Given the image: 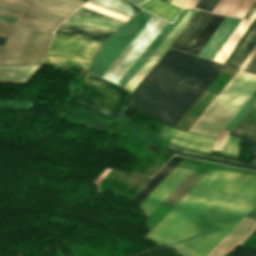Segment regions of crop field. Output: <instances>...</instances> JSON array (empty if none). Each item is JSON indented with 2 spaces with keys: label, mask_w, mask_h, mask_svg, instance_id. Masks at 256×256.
I'll return each instance as SVG.
<instances>
[{
  "label": "crop field",
  "mask_w": 256,
  "mask_h": 256,
  "mask_svg": "<svg viewBox=\"0 0 256 256\" xmlns=\"http://www.w3.org/2000/svg\"><path fill=\"white\" fill-rule=\"evenodd\" d=\"M223 67L170 48L137 87L130 105L174 127Z\"/></svg>",
  "instance_id": "obj_1"
},
{
  "label": "crop field",
  "mask_w": 256,
  "mask_h": 256,
  "mask_svg": "<svg viewBox=\"0 0 256 256\" xmlns=\"http://www.w3.org/2000/svg\"><path fill=\"white\" fill-rule=\"evenodd\" d=\"M255 205L256 172L243 170L170 246L206 256Z\"/></svg>",
  "instance_id": "obj_2"
},
{
  "label": "crop field",
  "mask_w": 256,
  "mask_h": 256,
  "mask_svg": "<svg viewBox=\"0 0 256 256\" xmlns=\"http://www.w3.org/2000/svg\"><path fill=\"white\" fill-rule=\"evenodd\" d=\"M241 171L216 164L146 238L169 246Z\"/></svg>",
  "instance_id": "obj_3"
},
{
  "label": "crop field",
  "mask_w": 256,
  "mask_h": 256,
  "mask_svg": "<svg viewBox=\"0 0 256 256\" xmlns=\"http://www.w3.org/2000/svg\"><path fill=\"white\" fill-rule=\"evenodd\" d=\"M255 90L256 76L239 70L189 130L217 137Z\"/></svg>",
  "instance_id": "obj_4"
},
{
  "label": "crop field",
  "mask_w": 256,
  "mask_h": 256,
  "mask_svg": "<svg viewBox=\"0 0 256 256\" xmlns=\"http://www.w3.org/2000/svg\"><path fill=\"white\" fill-rule=\"evenodd\" d=\"M151 16L152 14L141 11L109 36L98 48L87 74L101 77Z\"/></svg>",
  "instance_id": "obj_5"
},
{
  "label": "crop field",
  "mask_w": 256,
  "mask_h": 256,
  "mask_svg": "<svg viewBox=\"0 0 256 256\" xmlns=\"http://www.w3.org/2000/svg\"><path fill=\"white\" fill-rule=\"evenodd\" d=\"M101 40L56 34L43 61L85 68Z\"/></svg>",
  "instance_id": "obj_6"
},
{
  "label": "crop field",
  "mask_w": 256,
  "mask_h": 256,
  "mask_svg": "<svg viewBox=\"0 0 256 256\" xmlns=\"http://www.w3.org/2000/svg\"><path fill=\"white\" fill-rule=\"evenodd\" d=\"M166 23L167 21L153 15L102 78L116 83Z\"/></svg>",
  "instance_id": "obj_7"
},
{
  "label": "crop field",
  "mask_w": 256,
  "mask_h": 256,
  "mask_svg": "<svg viewBox=\"0 0 256 256\" xmlns=\"http://www.w3.org/2000/svg\"><path fill=\"white\" fill-rule=\"evenodd\" d=\"M81 83L85 87L83 94L74 93L71 96L94 105L119 112L124 100L131 93L115 84L96 77L81 74Z\"/></svg>",
  "instance_id": "obj_8"
},
{
  "label": "crop field",
  "mask_w": 256,
  "mask_h": 256,
  "mask_svg": "<svg viewBox=\"0 0 256 256\" xmlns=\"http://www.w3.org/2000/svg\"><path fill=\"white\" fill-rule=\"evenodd\" d=\"M200 162V160L184 157L140 203L144 214L149 216Z\"/></svg>",
  "instance_id": "obj_9"
},
{
  "label": "crop field",
  "mask_w": 256,
  "mask_h": 256,
  "mask_svg": "<svg viewBox=\"0 0 256 256\" xmlns=\"http://www.w3.org/2000/svg\"><path fill=\"white\" fill-rule=\"evenodd\" d=\"M29 5H27L25 8L26 9L43 11V12L54 13V14H59V15H64V16H67V15L71 14V13H69L71 11L63 12V11H58L59 9L58 10H53V9H47L48 7L47 8H41L42 6L41 7H35L36 5L35 6H29ZM0 8L16 11V12H20V13L23 10L22 6L9 4V3H5V2H1V1H0ZM4 9H0V10L20 15V13H16V12L4 10ZM26 9H24L23 11L31 12V13H37V14H43V15H52V16L65 18L64 16H59V15H54V14H49V13H43V12H37V11H32V10H26ZM25 12H22V13L23 14H28V15H33V16H38V17H44V18L59 20V21L64 20L62 18H57V17H52V16H43V15H37V14H31V13H25ZM19 19L20 20L31 21V22L42 23V24L51 25V26H55V27H58L59 24H60L59 22H54V21H49V20H44V19H39V18H34V17H28V16H23V15H21ZM20 20L17 21L16 25L38 28V29H44V30H50V31H55V29H56L55 27L46 26V25L37 24V23L26 22V21H20Z\"/></svg>",
  "instance_id": "obj_10"
},
{
  "label": "crop field",
  "mask_w": 256,
  "mask_h": 256,
  "mask_svg": "<svg viewBox=\"0 0 256 256\" xmlns=\"http://www.w3.org/2000/svg\"><path fill=\"white\" fill-rule=\"evenodd\" d=\"M162 140L168 141L171 144L177 145L179 147L203 151L209 153L214 144L215 139L178 130L172 129L170 127H162L159 135Z\"/></svg>",
  "instance_id": "obj_11"
},
{
  "label": "crop field",
  "mask_w": 256,
  "mask_h": 256,
  "mask_svg": "<svg viewBox=\"0 0 256 256\" xmlns=\"http://www.w3.org/2000/svg\"><path fill=\"white\" fill-rule=\"evenodd\" d=\"M246 217L256 221V206ZM255 226V222L244 217L207 256H216L230 252L243 241Z\"/></svg>",
  "instance_id": "obj_12"
},
{
  "label": "crop field",
  "mask_w": 256,
  "mask_h": 256,
  "mask_svg": "<svg viewBox=\"0 0 256 256\" xmlns=\"http://www.w3.org/2000/svg\"><path fill=\"white\" fill-rule=\"evenodd\" d=\"M63 23L113 31L124 21L81 7Z\"/></svg>",
  "instance_id": "obj_13"
},
{
  "label": "crop field",
  "mask_w": 256,
  "mask_h": 256,
  "mask_svg": "<svg viewBox=\"0 0 256 256\" xmlns=\"http://www.w3.org/2000/svg\"><path fill=\"white\" fill-rule=\"evenodd\" d=\"M196 9H190L188 13L183 17V19L177 24V26L171 31V33L166 37V39L160 44V46L155 50V52L149 57V59L144 63V65L138 70V72L132 77V79L127 83L125 88L133 90L135 86L141 81V79L147 74V72L154 66V64L160 59V57L166 52L170 47L174 39L177 37L181 29L187 23L189 18L195 12Z\"/></svg>",
  "instance_id": "obj_14"
},
{
  "label": "crop field",
  "mask_w": 256,
  "mask_h": 256,
  "mask_svg": "<svg viewBox=\"0 0 256 256\" xmlns=\"http://www.w3.org/2000/svg\"><path fill=\"white\" fill-rule=\"evenodd\" d=\"M240 21V18L225 16L202 51L199 53V56L213 60Z\"/></svg>",
  "instance_id": "obj_15"
},
{
  "label": "crop field",
  "mask_w": 256,
  "mask_h": 256,
  "mask_svg": "<svg viewBox=\"0 0 256 256\" xmlns=\"http://www.w3.org/2000/svg\"><path fill=\"white\" fill-rule=\"evenodd\" d=\"M189 9L182 10L179 16L176 18L173 24L167 23L166 26L160 31V33L154 38V40L148 45L143 53L137 58V60L131 65V67L125 72V74L117 82L120 86L124 87L131 77L137 72V70L143 65L148 57L154 52L159 44L165 39L170 31L176 26V24L182 19Z\"/></svg>",
  "instance_id": "obj_16"
},
{
  "label": "crop field",
  "mask_w": 256,
  "mask_h": 256,
  "mask_svg": "<svg viewBox=\"0 0 256 256\" xmlns=\"http://www.w3.org/2000/svg\"><path fill=\"white\" fill-rule=\"evenodd\" d=\"M32 29L15 26L0 53V64H15Z\"/></svg>",
  "instance_id": "obj_17"
},
{
  "label": "crop field",
  "mask_w": 256,
  "mask_h": 256,
  "mask_svg": "<svg viewBox=\"0 0 256 256\" xmlns=\"http://www.w3.org/2000/svg\"><path fill=\"white\" fill-rule=\"evenodd\" d=\"M212 16L213 14L197 10L172 47L187 51Z\"/></svg>",
  "instance_id": "obj_18"
},
{
  "label": "crop field",
  "mask_w": 256,
  "mask_h": 256,
  "mask_svg": "<svg viewBox=\"0 0 256 256\" xmlns=\"http://www.w3.org/2000/svg\"><path fill=\"white\" fill-rule=\"evenodd\" d=\"M38 65L0 66V81L26 82Z\"/></svg>",
  "instance_id": "obj_19"
},
{
  "label": "crop field",
  "mask_w": 256,
  "mask_h": 256,
  "mask_svg": "<svg viewBox=\"0 0 256 256\" xmlns=\"http://www.w3.org/2000/svg\"><path fill=\"white\" fill-rule=\"evenodd\" d=\"M255 0H221L214 13L243 18Z\"/></svg>",
  "instance_id": "obj_20"
},
{
  "label": "crop field",
  "mask_w": 256,
  "mask_h": 256,
  "mask_svg": "<svg viewBox=\"0 0 256 256\" xmlns=\"http://www.w3.org/2000/svg\"><path fill=\"white\" fill-rule=\"evenodd\" d=\"M35 32H36V30L34 29L33 32H32V34H31V36H30V38H29V40H28V42H27V44H26V46H25V48H24V50H23V52H22V54H21V56H20V58H19V60H18V62H17V64L20 63V61H21V59H22V57H23V55H24V53H25L27 47L29 46V44H30V42H31V40H32V38H33V36H34V34H35ZM37 32H38V30H37ZM37 32H36V34H37ZM47 33H48V32H45V34H44V32L39 31V33H38V35H37V37H36V39H35V41H34L32 47H37L38 44H39V42H40V40H41V38H42V36H43V34H44V36H43V38H42V40H41V42H40V44H39V46H38V49H37V51H36V53H35V55H34L32 61H31V63H33V61H34V59H35V57H36V55H37V53H38V51H39V49H40L42 43H43V41H44V39H45V37H46V35H47ZM36 34H35V36H36ZM48 35H49V33H48ZM48 35H47V37H48ZM52 35H53V33L50 34V36H49V38H48V40H47V42H46V44H45L43 50L41 51V49H42V47H43V45H44V43H45V41H46V39H47V37H46V39H45V41H44V43H43V45H42V47H41V49H40L41 53H40V51H39L40 55H39V53H38L39 57H38V55H37L38 59H37V57H36L37 61H36V59H35L36 63H39L40 60L43 58V56H44V54H45V52H46V50H47V47H48V45H49V42H50V40H51ZM35 36H34V38H35ZM34 38H33V40H34ZM33 40H32V42H33ZM32 42H31V44H32ZM31 44H30V46L28 47V49H27V51H26V53H25V55H24V57H23V59H22V61H21L20 64L23 63V61H24V59H25V57H26V55H27V53H28V51H29V49H30V47H31ZM35 50H36V48H31V49H30V51H29V53H28V56H27V58H26L24 64L30 62V60H31V58H32V56H33ZM35 61H34V63H35Z\"/></svg>",
  "instance_id": "obj_21"
},
{
  "label": "crop field",
  "mask_w": 256,
  "mask_h": 256,
  "mask_svg": "<svg viewBox=\"0 0 256 256\" xmlns=\"http://www.w3.org/2000/svg\"><path fill=\"white\" fill-rule=\"evenodd\" d=\"M256 17V11H253L249 20L242 19V21L239 23L237 28L234 30L232 35L229 37L227 42L224 44L222 49L219 51L217 56L214 58V61H218L223 63L224 60L227 58V56L230 54V52L233 50L237 42L242 37L243 33L247 29V27L250 25V23L253 21V19Z\"/></svg>",
  "instance_id": "obj_22"
},
{
  "label": "crop field",
  "mask_w": 256,
  "mask_h": 256,
  "mask_svg": "<svg viewBox=\"0 0 256 256\" xmlns=\"http://www.w3.org/2000/svg\"><path fill=\"white\" fill-rule=\"evenodd\" d=\"M140 7L144 8V9L170 21V22L176 15V13L179 11V8L172 6V5H170L166 2H163L161 0H149L146 3H144L143 5H141Z\"/></svg>",
  "instance_id": "obj_23"
},
{
  "label": "crop field",
  "mask_w": 256,
  "mask_h": 256,
  "mask_svg": "<svg viewBox=\"0 0 256 256\" xmlns=\"http://www.w3.org/2000/svg\"><path fill=\"white\" fill-rule=\"evenodd\" d=\"M224 18L222 15L215 14L192 46L189 48L188 52L198 55L200 50L203 48L207 40L210 38L214 30L217 28L221 20Z\"/></svg>",
  "instance_id": "obj_24"
},
{
  "label": "crop field",
  "mask_w": 256,
  "mask_h": 256,
  "mask_svg": "<svg viewBox=\"0 0 256 256\" xmlns=\"http://www.w3.org/2000/svg\"><path fill=\"white\" fill-rule=\"evenodd\" d=\"M182 158L174 156L133 199L140 202Z\"/></svg>",
  "instance_id": "obj_25"
},
{
  "label": "crop field",
  "mask_w": 256,
  "mask_h": 256,
  "mask_svg": "<svg viewBox=\"0 0 256 256\" xmlns=\"http://www.w3.org/2000/svg\"><path fill=\"white\" fill-rule=\"evenodd\" d=\"M256 43V26L253 28V30L250 32L246 40L243 42L239 50L236 52V54L232 57V59L229 61L228 65L234 66L239 68V66L242 64L244 59L246 58L247 54L253 47V45Z\"/></svg>",
  "instance_id": "obj_26"
},
{
  "label": "crop field",
  "mask_w": 256,
  "mask_h": 256,
  "mask_svg": "<svg viewBox=\"0 0 256 256\" xmlns=\"http://www.w3.org/2000/svg\"><path fill=\"white\" fill-rule=\"evenodd\" d=\"M164 151L256 170V166H254V165L243 164V163H238V162H233V161H227V160L217 159V158H213V157H208V156H204V155H200V154H196V153L183 151V150L173 148V147H170V146H167V145L165 146Z\"/></svg>",
  "instance_id": "obj_27"
},
{
  "label": "crop field",
  "mask_w": 256,
  "mask_h": 256,
  "mask_svg": "<svg viewBox=\"0 0 256 256\" xmlns=\"http://www.w3.org/2000/svg\"><path fill=\"white\" fill-rule=\"evenodd\" d=\"M60 28H68L69 30H62L59 29L58 31H66V32H77L79 34H71V33H61L57 32L59 34H67V35H74V36H82V37H90V38H100L105 39L109 34V32H103V31H97V30H90V29H84V28H77V27H71V26H65L61 25Z\"/></svg>",
  "instance_id": "obj_28"
},
{
  "label": "crop field",
  "mask_w": 256,
  "mask_h": 256,
  "mask_svg": "<svg viewBox=\"0 0 256 256\" xmlns=\"http://www.w3.org/2000/svg\"><path fill=\"white\" fill-rule=\"evenodd\" d=\"M60 1L77 6V7H79L81 4L84 3L79 0H60ZM60 1L41 0L40 2H38V1L30 0L29 3L36 4V5H42V6H48V7H56V8H61V9H66V10H71V11H74L75 9H77V7L62 3Z\"/></svg>",
  "instance_id": "obj_29"
},
{
  "label": "crop field",
  "mask_w": 256,
  "mask_h": 256,
  "mask_svg": "<svg viewBox=\"0 0 256 256\" xmlns=\"http://www.w3.org/2000/svg\"><path fill=\"white\" fill-rule=\"evenodd\" d=\"M91 2L100 4L102 6L120 11L122 13L128 14V15H133L134 13L138 12L132 7L128 6L121 0H91Z\"/></svg>",
  "instance_id": "obj_30"
},
{
  "label": "crop field",
  "mask_w": 256,
  "mask_h": 256,
  "mask_svg": "<svg viewBox=\"0 0 256 256\" xmlns=\"http://www.w3.org/2000/svg\"><path fill=\"white\" fill-rule=\"evenodd\" d=\"M256 103V91L247 100V102L242 106V108L236 113V115L231 119V121L224 128L225 130L232 131L234 127L239 123V121L244 117V115L249 111V109Z\"/></svg>",
  "instance_id": "obj_31"
},
{
  "label": "crop field",
  "mask_w": 256,
  "mask_h": 256,
  "mask_svg": "<svg viewBox=\"0 0 256 256\" xmlns=\"http://www.w3.org/2000/svg\"><path fill=\"white\" fill-rule=\"evenodd\" d=\"M239 143H240L239 138L228 136L224 143L221 153L237 157Z\"/></svg>",
  "instance_id": "obj_32"
},
{
  "label": "crop field",
  "mask_w": 256,
  "mask_h": 256,
  "mask_svg": "<svg viewBox=\"0 0 256 256\" xmlns=\"http://www.w3.org/2000/svg\"><path fill=\"white\" fill-rule=\"evenodd\" d=\"M199 0H172L171 4L179 8L195 7Z\"/></svg>",
  "instance_id": "obj_33"
},
{
  "label": "crop field",
  "mask_w": 256,
  "mask_h": 256,
  "mask_svg": "<svg viewBox=\"0 0 256 256\" xmlns=\"http://www.w3.org/2000/svg\"><path fill=\"white\" fill-rule=\"evenodd\" d=\"M83 7H86V8H89V9H92V10H95V11H98V12H101V13H104V14H106V15H109V16H112V17H115V18H118V19H121V20H124V21L128 20V18H125V17H123V16H120V15H117V14H115V13L109 12V11H107V10H104V9H102V8H99V7H96V6L91 5V4H89V3L85 4Z\"/></svg>",
  "instance_id": "obj_34"
},
{
  "label": "crop field",
  "mask_w": 256,
  "mask_h": 256,
  "mask_svg": "<svg viewBox=\"0 0 256 256\" xmlns=\"http://www.w3.org/2000/svg\"><path fill=\"white\" fill-rule=\"evenodd\" d=\"M226 132L225 130H222V132L220 133V135L218 136L214 146H213V149H217V150H221L222 148V145L224 143V139H225V136H226Z\"/></svg>",
  "instance_id": "obj_35"
},
{
  "label": "crop field",
  "mask_w": 256,
  "mask_h": 256,
  "mask_svg": "<svg viewBox=\"0 0 256 256\" xmlns=\"http://www.w3.org/2000/svg\"><path fill=\"white\" fill-rule=\"evenodd\" d=\"M12 26H13V24H9V23L0 21V28H2V29H6V30H9V31H10L11 28H12ZM2 29H0V35L7 37L9 31L2 30Z\"/></svg>",
  "instance_id": "obj_36"
},
{
  "label": "crop field",
  "mask_w": 256,
  "mask_h": 256,
  "mask_svg": "<svg viewBox=\"0 0 256 256\" xmlns=\"http://www.w3.org/2000/svg\"><path fill=\"white\" fill-rule=\"evenodd\" d=\"M256 24V19L255 21L252 23V25L250 26V28L247 30V32L245 33V35L242 37V39L240 40V42L238 43V45L236 46V48L232 51V53L229 55V57L225 60V64L228 63V61L231 59V57L234 55V53L237 51L239 45L241 44V42L245 39V37L247 36V34L250 32L251 28Z\"/></svg>",
  "instance_id": "obj_37"
},
{
  "label": "crop field",
  "mask_w": 256,
  "mask_h": 256,
  "mask_svg": "<svg viewBox=\"0 0 256 256\" xmlns=\"http://www.w3.org/2000/svg\"><path fill=\"white\" fill-rule=\"evenodd\" d=\"M229 135L243 138L242 142L256 145V138H251V137L243 136V135L232 133V132H229Z\"/></svg>",
  "instance_id": "obj_38"
},
{
  "label": "crop field",
  "mask_w": 256,
  "mask_h": 256,
  "mask_svg": "<svg viewBox=\"0 0 256 256\" xmlns=\"http://www.w3.org/2000/svg\"><path fill=\"white\" fill-rule=\"evenodd\" d=\"M245 71L252 72L256 74V54L253 59L250 61L248 66L245 68Z\"/></svg>",
  "instance_id": "obj_39"
},
{
  "label": "crop field",
  "mask_w": 256,
  "mask_h": 256,
  "mask_svg": "<svg viewBox=\"0 0 256 256\" xmlns=\"http://www.w3.org/2000/svg\"><path fill=\"white\" fill-rule=\"evenodd\" d=\"M18 17L0 13V20L15 24Z\"/></svg>",
  "instance_id": "obj_40"
},
{
  "label": "crop field",
  "mask_w": 256,
  "mask_h": 256,
  "mask_svg": "<svg viewBox=\"0 0 256 256\" xmlns=\"http://www.w3.org/2000/svg\"><path fill=\"white\" fill-rule=\"evenodd\" d=\"M256 53V45L253 48V50L250 52V54L248 55V57L245 59L244 63L241 65L240 69L244 70V68L247 66V64L249 63V61L252 59V57L254 56V54Z\"/></svg>",
  "instance_id": "obj_41"
},
{
  "label": "crop field",
  "mask_w": 256,
  "mask_h": 256,
  "mask_svg": "<svg viewBox=\"0 0 256 256\" xmlns=\"http://www.w3.org/2000/svg\"><path fill=\"white\" fill-rule=\"evenodd\" d=\"M210 2L211 0H200L199 3L196 5V8L205 10Z\"/></svg>",
  "instance_id": "obj_42"
},
{
  "label": "crop field",
  "mask_w": 256,
  "mask_h": 256,
  "mask_svg": "<svg viewBox=\"0 0 256 256\" xmlns=\"http://www.w3.org/2000/svg\"><path fill=\"white\" fill-rule=\"evenodd\" d=\"M220 0H212V2L209 4V6L206 8V11L212 12V10L215 8V6L218 4Z\"/></svg>",
  "instance_id": "obj_43"
},
{
  "label": "crop field",
  "mask_w": 256,
  "mask_h": 256,
  "mask_svg": "<svg viewBox=\"0 0 256 256\" xmlns=\"http://www.w3.org/2000/svg\"><path fill=\"white\" fill-rule=\"evenodd\" d=\"M133 1L136 5H141L142 3L146 2L147 0H131Z\"/></svg>",
  "instance_id": "obj_44"
},
{
  "label": "crop field",
  "mask_w": 256,
  "mask_h": 256,
  "mask_svg": "<svg viewBox=\"0 0 256 256\" xmlns=\"http://www.w3.org/2000/svg\"><path fill=\"white\" fill-rule=\"evenodd\" d=\"M8 1L16 2V3H20V4H24V5H26L25 3H28V0H17V1L25 2V3H21V2H17V1H13V0H8Z\"/></svg>",
  "instance_id": "obj_45"
},
{
  "label": "crop field",
  "mask_w": 256,
  "mask_h": 256,
  "mask_svg": "<svg viewBox=\"0 0 256 256\" xmlns=\"http://www.w3.org/2000/svg\"><path fill=\"white\" fill-rule=\"evenodd\" d=\"M5 39H6L5 37H1V36H0V45H3V44H4Z\"/></svg>",
  "instance_id": "obj_46"
},
{
  "label": "crop field",
  "mask_w": 256,
  "mask_h": 256,
  "mask_svg": "<svg viewBox=\"0 0 256 256\" xmlns=\"http://www.w3.org/2000/svg\"><path fill=\"white\" fill-rule=\"evenodd\" d=\"M89 3H91V2H89ZM91 4H93V3H91ZM94 5H96V4H94ZM97 6H99V5H97ZM99 7H101V6H99ZM102 8H104V7H102ZM104 9H106V8H104ZM107 10H109V9H107ZM111 11V10H110ZM112 12H114V11H112ZM116 13V12H115ZM119 14V13H118ZM120 15H122V14H120ZM124 16V15H123ZM127 17V16H126ZM129 18V17H128Z\"/></svg>",
  "instance_id": "obj_47"
},
{
  "label": "crop field",
  "mask_w": 256,
  "mask_h": 256,
  "mask_svg": "<svg viewBox=\"0 0 256 256\" xmlns=\"http://www.w3.org/2000/svg\"><path fill=\"white\" fill-rule=\"evenodd\" d=\"M0 12H2V13H6V14H10V15H14V16H18V17H19V15H15V14H11V13H7V12H3V11H0Z\"/></svg>",
  "instance_id": "obj_48"
},
{
  "label": "crop field",
  "mask_w": 256,
  "mask_h": 256,
  "mask_svg": "<svg viewBox=\"0 0 256 256\" xmlns=\"http://www.w3.org/2000/svg\"><path fill=\"white\" fill-rule=\"evenodd\" d=\"M81 1H84V2H86V1H88V0H81Z\"/></svg>",
  "instance_id": "obj_49"
},
{
  "label": "crop field",
  "mask_w": 256,
  "mask_h": 256,
  "mask_svg": "<svg viewBox=\"0 0 256 256\" xmlns=\"http://www.w3.org/2000/svg\"><path fill=\"white\" fill-rule=\"evenodd\" d=\"M252 150H256V147H255V148H252Z\"/></svg>",
  "instance_id": "obj_50"
},
{
  "label": "crop field",
  "mask_w": 256,
  "mask_h": 256,
  "mask_svg": "<svg viewBox=\"0 0 256 256\" xmlns=\"http://www.w3.org/2000/svg\"><path fill=\"white\" fill-rule=\"evenodd\" d=\"M2 1H4V0H2ZM6 2H8V1H6ZM16 4V3H15ZM20 5V4H19ZM22 6H24V5H22Z\"/></svg>",
  "instance_id": "obj_51"
},
{
  "label": "crop field",
  "mask_w": 256,
  "mask_h": 256,
  "mask_svg": "<svg viewBox=\"0 0 256 256\" xmlns=\"http://www.w3.org/2000/svg\"><path fill=\"white\" fill-rule=\"evenodd\" d=\"M252 164L256 165V163H255V162H253Z\"/></svg>",
  "instance_id": "obj_52"
},
{
  "label": "crop field",
  "mask_w": 256,
  "mask_h": 256,
  "mask_svg": "<svg viewBox=\"0 0 256 256\" xmlns=\"http://www.w3.org/2000/svg\"><path fill=\"white\" fill-rule=\"evenodd\" d=\"M170 1H171V0H167V2H169V3H170Z\"/></svg>",
  "instance_id": "obj_53"
},
{
  "label": "crop field",
  "mask_w": 256,
  "mask_h": 256,
  "mask_svg": "<svg viewBox=\"0 0 256 256\" xmlns=\"http://www.w3.org/2000/svg\"><path fill=\"white\" fill-rule=\"evenodd\" d=\"M255 156H256V152H254Z\"/></svg>",
  "instance_id": "obj_54"
},
{
  "label": "crop field",
  "mask_w": 256,
  "mask_h": 256,
  "mask_svg": "<svg viewBox=\"0 0 256 256\" xmlns=\"http://www.w3.org/2000/svg\"><path fill=\"white\" fill-rule=\"evenodd\" d=\"M2 47H0V51H1Z\"/></svg>",
  "instance_id": "obj_55"
},
{
  "label": "crop field",
  "mask_w": 256,
  "mask_h": 256,
  "mask_svg": "<svg viewBox=\"0 0 256 256\" xmlns=\"http://www.w3.org/2000/svg\"><path fill=\"white\" fill-rule=\"evenodd\" d=\"M254 161L256 162V159H254Z\"/></svg>",
  "instance_id": "obj_56"
},
{
  "label": "crop field",
  "mask_w": 256,
  "mask_h": 256,
  "mask_svg": "<svg viewBox=\"0 0 256 256\" xmlns=\"http://www.w3.org/2000/svg\"><path fill=\"white\" fill-rule=\"evenodd\" d=\"M255 9H256V7H255Z\"/></svg>",
  "instance_id": "obj_57"
},
{
  "label": "crop field",
  "mask_w": 256,
  "mask_h": 256,
  "mask_svg": "<svg viewBox=\"0 0 256 256\" xmlns=\"http://www.w3.org/2000/svg\"><path fill=\"white\" fill-rule=\"evenodd\" d=\"M166 1V0H165Z\"/></svg>",
  "instance_id": "obj_58"
},
{
  "label": "crop field",
  "mask_w": 256,
  "mask_h": 256,
  "mask_svg": "<svg viewBox=\"0 0 256 256\" xmlns=\"http://www.w3.org/2000/svg\"><path fill=\"white\" fill-rule=\"evenodd\" d=\"M39 1V0H38Z\"/></svg>",
  "instance_id": "obj_59"
}]
</instances>
